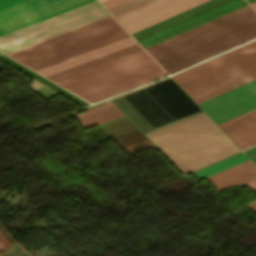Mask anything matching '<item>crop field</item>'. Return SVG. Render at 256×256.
I'll return each instance as SVG.
<instances>
[{
    "mask_svg": "<svg viewBox=\"0 0 256 256\" xmlns=\"http://www.w3.org/2000/svg\"><path fill=\"white\" fill-rule=\"evenodd\" d=\"M94 0H28L0 11V35ZM109 16L96 2L50 17L0 36L7 54L36 42Z\"/></svg>",
    "mask_w": 256,
    "mask_h": 256,
    "instance_id": "crop-field-1",
    "label": "crop field"
},
{
    "mask_svg": "<svg viewBox=\"0 0 256 256\" xmlns=\"http://www.w3.org/2000/svg\"><path fill=\"white\" fill-rule=\"evenodd\" d=\"M256 37V12L249 6L146 48L172 73Z\"/></svg>",
    "mask_w": 256,
    "mask_h": 256,
    "instance_id": "crop-field-2",
    "label": "crop field"
},
{
    "mask_svg": "<svg viewBox=\"0 0 256 256\" xmlns=\"http://www.w3.org/2000/svg\"><path fill=\"white\" fill-rule=\"evenodd\" d=\"M205 1L207 0H156L116 19L132 34ZM245 5L247 3L244 0H209L132 36L146 48Z\"/></svg>",
    "mask_w": 256,
    "mask_h": 256,
    "instance_id": "crop-field-3",
    "label": "crop field"
},
{
    "mask_svg": "<svg viewBox=\"0 0 256 256\" xmlns=\"http://www.w3.org/2000/svg\"><path fill=\"white\" fill-rule=\"evenodd\" d=\"M146 136L183 174L240 151L204 113Z\"/></svg>",
    "mask_w": 256,
    "mask_h": 256,
    "instance_id": "crop-field-4",
    "label": "crop field"
},
{
    "mask_svg": "<svg viewBox=\"0 0 256 256\" xmlns=\"http://www.w3.org/2000/svg\"><path fill=\"white\" fill-rule=\"evenodd\" d=\"M164 75L142 50L57 83L93 103Z\"/></svg>",
    "mask_w": 256,
    "mask_h": 256,
    "instance_id": "crop-field-5",
    "label": "crop field"
},
{
    "mask_svg": "<svg viewBox=\"0 0 256 256\" xmlns=\"http://www.w3.org/2000/svg\"><path fill=\"white\" fill-rule=\"evenodd\" d=\"M143 88L176 121L202 113L195 103L169 77L143 86ZM142 87L122 94L130 105L154 129L175 123V121L158 105ZM121 95L112 100L144 133L153 131L145 120L128 104Z\"/></svg>",
    "mask_w": 256,
    "mask_h": 256,
    "instance_id": "crop-field-6",
    "label": "crop field"
},
{
    "mask_svg": "<svg viewBox=\"0 0 256 256\" xmlns=\"http://www.w3.org/2000/svg\"><path fill=\"white\" fill-rule=\"evenodd\" d=\"M127 36L109 16L7 55L37 71Z\"/></svg>",
    "mask_w": 256,
    "mask_h": 256,
    "instance_id": "crop-field-7",
    "label": "crop field"
},
{
    "mask_svg": "<svg viewBox=\"0 0 256 256\" xmlns=\"http://www.w3.org/2000/svg\"><path fill=\"white\" fill-rule=\"evenodd\" d=\"M256 49V40L172 76L177 82ZM256 78V50L179 82L197 102Z\"/></svg>",
    "mask_w": 256,
    "mask_h": 256,
    "instance_id": "crop-field-8",
    "label": "crop field"
},
{
    "mask_svg": "<svg viewBox=\"0 0 256 256\" xmlns=\"http://www.w3.org/2000/svg\"><path fill=\"white\" fill-rule=\"evenodd\" d=\"M199 105L217 124L256 108V79Z\"/></svg>",
    "mask_w": 256,
    "mask_h": 256,
    "instance_id": "crop-field-9",
    "label": "crop field"
},
{
    "mask_svg": "<svg viewBox=\"0 0 256 256\" xmlns=\"http://www.w3.org/2000/svg\"><path fill=\"white\" fill-rule=\"evenodd\" d=\"M207 179L218 191L252 180L246 184L256 192V166L250 160L212 175ZM248 206L249 209L256 212V200L249 203Z\"/></svg>",
    "mask_w": 256,
    "mask_h": 256,
    "instance_id": "crop-field-10",
    "label": "crop field"
},
{
    "mask_svg": "<svg viewBox=\"0 0 256 256\" xmlns=\"http://www.w3.org/2000/svg\"><path fill=\"white\" fill-rule=\"evenodd\" d=\"M139 50H142V48L137 43H135L130 46L124 47L122 49L116 50L114 52L108 53L106 55L100 56L98 58L92 59L90 61L84 62L82 64L76 65L74 67L68 68L66 70L60 71L58 73L52 74L47 77L57 82L59 80L65 79L67 77L73 76L75 74L81 73L83 71L89 70L91 68L97 67L99 65L105 64L107 62L113 61L115 59L129 55L131 53L137 52Z\"/></svg>",
    "mask_w": 256,
    "mask_h": 256,
    "instance_id": "crop-field-11",
    "label": "crop field"
},
{
    "mask_svg": "<svg viewBox=\"0 0 256 256\" xmlns=\"http://www.w3.org/2000/svg\"><path fill=\"white\" fill-rule=\"evenodd\" d=\"M135 43V40L131 38V36L121 39L119 41L113 42L111 44L105 45L98 49L92 50L90 52L84 53L82 55L76 56L74 58L68 59L61 63L55 64L53 66L47 67L45 69L39 70L40 74L47 76L52 73L58 72L60 70L66 69L68 67L74 66L76 64L82 63L84 61L90 60L92 58L98 57L100 55L106 54L108 52L114 51L116 49L122 48L124 46Z\"/></svg>",
    "mask_w": 256,
    "mask_h": 256,
    "instance_id": "crop-field-12",
    "label": "crop field"
},
{
    "mask_svg": "<svg viewBox=\"0 0 256 256\" xmlns=\"http://www.w3.org/2000/svg\"><path fill=\"white\" fill-rule=\"evenodd\" d=\"M123 116L117 107L110 101L99 106L76 114V117L84 129L104 123L106 121Z\"/></svg>",
    "mask_w": 256,
    "mask_h": 256,
    "instance_id": "crop-field-13",
    "label": "crop field"
},
{
    "mask_svg": "<svg viewBox=\"0 0 256 256\" xmlns=\"http://www.w3.org/2000/svg\"><path fill=\"white\" fill-rule=\"evenodd\" d=\"M254 112H256V109H253V110H251L249 112H246V113H244L242 115H239V116H237V117H235L233 119H230V120H228L226 122H223V123H221L219 125H220V127H222V126H224L226 124H229V123H231V122H233L235 120H238V119H240L242 117H245V116H247V115H249L251 113H254ZM227 134L238 144L239 147H242V146H244L246 144H249V143H251L253 141H256V120L251 122V123H248V124H246L244 126H241V127L237 128V129H234V130H232L230 132H227Z\"/></svg>",
    "mask_w": 256,
    "mask_h": 256,
    "instance_id": "crop-field-14",
    "label": "crop field"
},
{
    "mask_svg": "<svg viewBox=\"0 0 256 256\" xmlns=\"http://www.w3.org/2000/svg\"><path fill=\"white\" fill-rule=\"evenodd\" d=\"M246 160H248V158L243 153H239V154H237L235 156H232V157H230L228 159H225V160H223L221 162H218V163H216L214 165H211V166H209L207 168H204V169H202L200 171H197V172L193 173V175L195 176V178L197 180H199L201 178H205V177H207L209 175H212V174H214L216 172H219L221 170H224L226 168H229L231 166H234V165H236L238 163H241L243 161H246Z\"/></svg>",
    "mask_w": 256,
    "mask_h": 256,
    "instance_id": "crop-field-15",
    "label": "crop field"
},
{
    "mask_svg": "<svg viewBox=\"0 0 256 256\" xmlns=\"http://www.w3.org/2000/svg\"><path fill=\"white\" fill-rule=\"evenodd\" d=\"M0 58L6 62H8L9 64L13 65L14 67L20 69L21 71L27 73L28 75L34 77L35 79L41 81L42 83L48 85L49 87L55 89L56 91L62 93L63 95L69 97L70 99L76 101L77 103L85 106V105H89L88 103L84 102L83 100L77 98L76 96L72 95L71 93L65 91L64 89L58 87L57 85L51 83L50 81L44 79L43 77L39 76L38 74L32 72L31 70L25 68L24 66L18 64L17 62L11 60L10 58L6 57L5 55L0 53Z\"/></svg>",
    "mask_w": 256,
    "mask_h": 256,
    "instance_id": "crop-field-16",
    "label": "crop field"
},
{
    "mask_svg": "<svg viewBox=\"0 0 256 256\" xmlns=\"http://www.w3.org/2000/svg\"><path fill=\"white\" fill-rule=\"evenodd\" d=\"M151 1H153V0H129L127 2H124V3L120 4V5H117L115 7H112L110 9H108V11L114 17H116V16H118L120 14H123V13H125L127 11L132 10V9H135V8H137L139 6H142V5L146 4V3H149Z\"/></svg>",
    "mask_w": 256,
    "mask_h": 256,
    "instance_id": "crop-field-17",
    "label": "crop field"
},
{
    "mask_svg": "<svg viewBox=\"0 0 256 256\" xmlns=\"http://www.w3.org/2000/svg\"><path fill=\"white\" fill-rule=\"evenodd\" d=\"M106 9L122 3L127 0H98Z\"/></svg>",
    "mask_w": 256,
    "mask_h": 256,
    "instance_id": "crop-field-18",
    "label": "crop field"
},
{
    "mask_svg": "<svg viewBox=\"0 0 256 256\" xmlns=\"http://www.w3.org/2000/svg\"><path fill=\"white\" fill-rule=\"evenodd\" d=\"M23 1L25 0H0V10Z\"/></svg>",
    "mask_w": 256,
    "mask_h": 256,
    "instance_id": "crop-field-19",
    "label": "crop field"
},
{
    "mask_svg": "<svg viewBox=\"0 0 256 256\" xmlns=\"http://www.w3.org/2000/svg\"><path fill=\"white\" fill-rule=\"evenodd\" d=\"M10 246L8 241L3 237V235L0 233V248L3 249L5 247Z\"/></svg>",
    "mask_w": 256,
    "mask_h": 256,
    "instance_id": "crop-field-20",
    "label": "crop field"
},
{
    "mask_svg": "<svg viewBox=\"0 0 256 256\" xmlns=\"http://www.w3.org/2000/svg\"><path fill=\"white\" fill-rule=\"evenodd\" d=\"M250 158L256 156V146L245 151Z\"/></svg>",
    "mask_w": 256,
    "mask_h": 256,
    "instance_id": "crop-field-21",
    "label": "crop field"
},
{
    "mask_svg": "<svg viewBox=\"0 0 256 256\" xmlns=\"http://www.w3.org/2000/svg\"><path fill=\"white\" fill-rule=\"evenodd\" d=\"M251 5L256 9V1L251 3Z\"/></svg>",
    "mask_w": 256,
    "mask_h": 256,
    "instance_id": "crop-field-22",
    "label": "crop field"
},
{
    "mask_svg": "<svg viewBox=\"0 0 256 256\" xmlns=\"http://www.w3.org/2000/svg\"><path fill=\"white\" fill-rule=\"evenodd\" d=\"M252 160L256 163V157L252 158Z\"/></svg>",
    "mask_w": 256,
    "mask_h": 256,
    "instance_id": "crop-field-23",
    "label": "crop field"
},
{
    "mask_svg": "<svg viewBox=\"0 0 256 256\" xmlns=\"http://www.w3.org/2000/svg\"><path fill=\"white\" fill-rule=\"evenodd\" d=\"M249 3H251V2H253V1H255V0H247Z\"/></svg>",
    "mask_w": 256,
    "mask_h": 256,
    "instance_id": "crop-field-24",
    "label": "crop field"
}]
</instances>
